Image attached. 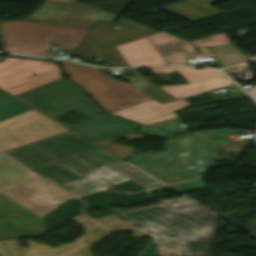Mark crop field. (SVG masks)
I'll list each match as a JSON object with an SVG mask.
<instances>
[{"mask_svg": "<svg viewBox=\"0 0 256 256\" xmlns=\"http://www.w3.org/2000/svg\"><path fill=\"white\" fill-rule=\"evenodd\" d=\"M141 131L148 134L168 137L185 131L177 118L142 126ZM178 134V133H177Z\"/></svg>", "mask_w": 256, "mask_h": 256, "instance_id": "bc2a9ffb", "label": "crop field"}, {"mask_svg": "<svg viewBox=\"0 0 256 256\" xmlns=\"http://www.w3.org/2000/svg\"><path fill=\"white\" fill-rule=\"evenodd\" d=\"M47 1L73 2L74 0H47Z\"/></svg>", "mask_w": 256, "mask_h": 256, "instance_id": "4177f3b9", "label": "crop field"}, {"mask_svg": "<svg viewBox=\"0 0 256 256\" xmlns=\"http://www.w3.org/2000/svg\"><path fill=\"white\" fill-rule=\"evenodd\" d=\"M28 109L31 108L0 90V120Z\"/></svg>", "mask_w": 256, "mask_h": 256, "instance_id": "214f88e0", "label": "crop field"}, {"mask_svg": "<svg viewBox=\"0 0 256 256\" xmlns=\"http://www.w3.org/2000/svg\"><path fill=\"white\" fill-rule=\"evenodd\" d=\"M148 38L168 65L185 64L184 58L195 55L196 49L202 50L205 55H214L224 67L248 61L233 44H229L224 33L191 43L163 33Z\"/></svg>", "mask_w": 256, "mask_h": 256, "instance_id": "e52e79f7", "label": "crop field"}, {"mask_svg": "<svg viewBox=\"0 0 256 256\" xmlns=\"http://www.w3.org/2000/svg\"><path fill=\"white\" fill-rule=\"evenodd\" d=\"M116 26V23L98 21L82 40L97 44H117L157 32L127 19L122 21L120 29Z\"/></svg>", "mask_w": 256, "mask_h": 256, "instance_id": "22f410ed", "label": "crop field"}, {"mask_svg": "<svg viewBox=\"0 0 256 256\" xmlns=\"http://www.w3.org/2000/svg\"><path fill=\"white\" fill-rule=\"evenodd\" d=\"M147 77L143 75L135 74L129 77H125L127 81L131 82L130 84L135 86L136 88L142 90L147 95L153 97L160 103L168 102L174 100L175 98L152 84L150 81L146 80Z\"/></svg>", "mask_w": 256, "mask_h": 256, "instance_id": "4a817a6b", "label": "crop field"}, {"mask_svg": "<svg viewBox=\"0 0 256 256\" xmlns=\"http://www.w3.org/2000/svg\"><path fill=\"white\" fill-rule=\"evenodd\" d=\"M220 1L223 0H188L163 9L190 21H196L223 13L224 11L209 6Z\"/></svg>", "mask_w": 256, "mask_h": 256, "instance_id": "d9b57169", "label": "crop field"}, {"mask_svg": "<svg viewBox=\"0 0 256 256\" xmlns=\"http://www.w3.org/2000/svg\"><path fill=\"white\" fill-rule=\"evenodd\" d=\"M59 77L52 62L5 57L0 63V86L15 95Z\"/></svg>", "mask_w": 256, "mask_h": 256, "instance_id": "5a996713", "label": "crop field"}, {"mask_svg": "<svg viewBox=\"0 0 256 256\" xmlns=\"http://www.w3.org/2000/svg\"><path fill=\"white\" fill-rule=\"evenodd\" d=\"M256 86V85H255ZM254 87V86H253ZM252 88V87H251ZM248 92L256 99V87L248 90Z\"/></svg>", "mask_w": 256, "mask_h": 256, "instance_id": "a9b5d70f", "label": "crop field"}, {"mask_svg": "<svg viewBox=\"0 0 256 256\" xmlns=\"http://www.w3.org/2000/svg\"><path fill=\"white\" fill-rule=\"evenodd\" d=\"M118 230V229H117ZM122 230H126V231H131V230H129V229H122ZM120 231V230H119ZM133 232V231H132ZM134 234L133 235H131L132 237H134V238H136V239H138V240H140L141 238H143L144 236H142V235H140V234H138V233H136V232H133Z\"/></svg>", "mask_w": 256, "mask_h": 256, "instance_id": "00972430", "label": "crop field"}, {"mask_svg": "<svg viewBox=\"0 0 256 256\" xmlns=\"http://www.w3.org/2000/svg\"><path fill=\"white\" fill-rule=\"evenodd\" d=\"M117 49L129 66L167 65L147 37L119 45Z\"/></svg>", "mask_w": 256, "mask_h": 256, "instance_id": "5142ce71", "label": "crop field"}, {"mask_svg": "<svg viewBox=\"0 0 256 256\" xmlns=\"http://www.w3.org/2000/svg\"><path fill=\"white\" fill-rule=\"evenodd\" d=\"M76 56L91 60L94 57L102 58L110 66H128L115 46H99L79 42L73 49Z\"/></svg>", "mask_w": 256, "mask_h": 256, "instance_id": "733c2abd", "label": "crop field"}, {"mask_svg": "<svg viewBox=\"0 0 256 256\" xmlns=\"http://www.w3.org/2000/svg\"><path fill=\"white\" fill-rule=\"evenodd\" d=\"M150 71L155 75L179 72L186 79L187 85L160 86L177 99L233 84L221 72L209 68L159 67L151 68Z\"/></svg>", "mask_w": 256, "mask_h": 256, "instance_id": "28ad6ade", "label": "crop field"}, {"mask_svg": "<svg viewBox=\"0 0 256 256\" xmlns=\"http://www.w3.org/2000/svg\"><path fill=\"white\" fill-rule=\"evenodd\" d=\"M60 61V60H58ZM69 79L79 83L109 113L151 99L127 83H119L101 75L95 68L74 62L60 61Z\"/></svg>", "mask_w": 256, "mask_h": 256, "instance_id": "dd49c442", "label": "crop field"}, {"mask_svg": "<svg viewBox=\"0 0 256 256\" xmlns=\"http://www.w3.org/2000/svg\"><path fill=\"white\" fill-rule=\"evenodd\" d=\"M16 97L53 119L74 111L82 119L68 128L123 159L131 156L135 148L110 142L122 136L128 140L145 137L130 133L136 125L100 112L75 85L63 79Z\"/></svg>", "mask_w": 256, "mask_h": 256, "instance_id": "34b2d1b8", "label": "crop field"}, {"mask_svg": "<svg viewBox=\"0 0 256 256\" xmlns=\"http://www.w3.org/2000/svg\"><path fill=\"white\" fill-rule=\"evenodd\" d=\"M87 30L26 20L0 22L3 51L41 57L48 56L51 40L63 41L60 50H71Z\"/></svg>", "mask_w": 256, "mask_h": 256, "instance_id": "f4fd0767", "label": "crop field"}, {"mask_svg": "<svg viewBox=\"0 0 256 256\" xmlns=\"http://www.w3.org/2000/svg\"><path fill=\"white\" fill-rule=\"evenodd\" d=\"M69 131L34 109L0 121L3 150Z\"/></svg>", "mask_w": 256, "mask_h": 256, "instance_id": "d8731c3e", "label": "crop field"}, {"mask_svg": "<svg viewBox=\"0 0 256 256\" xmlns=\"http://www.w3.org/2000/svg\"><path fill=\"white\" fill-rule=\"evenodd\" d=\"M190 105L187 101L180 99L161 105L154 99L111 113L130 120L137 121L142 125L165 119L178 117L172 111Z\"/></svg>", "mask_w": 256, "mask_h": 256, "instance_id": "cbeb9de0", "label": "crop field"}, {"mask_svg": "<svg viewBox=\"0 0 256 256\" xmlns=\"http://www.w3.org/2000/svg\"><path fill=\"white\" fill-rule=\"evenodd\" d=\"M226 88L228 90H231V89H237L238 87H236L235 85H231V86H227Z\"/></svg>", "mask_w": 256, "mask_h": 256, "instance_id": "730fd06b", "label": "crop field"}, {"mask_svg": "<svg viewBox=\"0 0 256 256\" xmlns=\"http://www.w3.org/2000/svg\"><path fill=\"white\" fill-rule=\"evenodd\" d=\"M117 15L78 3L43 2L23 19L92 27L97 20L114 21Z\"/></svg>", "mask_w": 256, "mask_h": 256, "instance_id": "3316defc", "label": "crop field"}, {"mask_svg": "<svg viewBox=\"0 0 256 256\" xmlns=\"http://www.w3.org/2000/svg\"><path fill=\"white\" fill-rule=\"evenodd\" d=\"M202 183H201V179L199 178V179L183 182L177 185H172L171 187L179 192H183V191H189V190H194L199 188H205L206 186Z\"/></svg>", "mask_w": 256, "mask_h": 256, "instance_id": "92a150f3", "label": "crop field"}, {"mask_svg": "<svg viewBox=\"0 0 256 256\" xmlns=\"http://www.w3.org/2000/svg\"><path fill=\"white\" fill-rule=\"evenodd\" d=\"M116 232H118V231L110 228L108 230H105V231L95 235L94 237L90 238L89 240L85 241L84 243L93 244L94 242L99 241V240H101V239H103V238H105L107 236H110V235L116 233ZM83 254L86 255V256H90L91 252L90 251H86Z\"/></svg>", "mask_w": 256, "mask_h": 256, "instance_id": "dafd665d", "label": "crop field"}, {"mask_svg": "<svg viewBox=\"0 0 256 256\" xmlns=\"http://www.w3.org/2000/svg\"><path fill=\"white\" fill-rule=\"evenodd\" d=\"M2 192L18 204L42 216L72 198L39 178Z\"/></svg>", "mask_w": 256, "mask_h": 256, "instance_id": "d1516ede", "label": "crop field"}, {"mask_svg": "<svg viewBox=\"0 0 256 256\" xmlns=\"http://www.w3.org/2000/svg\"><path fill=\"white\" fill-rule=\"evenodd\" d=\"M229 128L205 130L166 141L167 152L130 157L127 162L169 184L200 176L199 168L215 165L209 139L226 138Z\"/></svg>", "mask_w": 256, "mask_h": 256, "instance_id": "412701ff", "label": "crop field"}, {"mask_svg": "<svg viewBox=\"0 0 256 256\" xmlns=\"http://www.w3.org/2000/svg\"><path fill=\"white\" fill-rule=\"evenodd\" d=\"M113 215L157 236L164 256H213L217 215L190 199Z\"/></svg>", "mask_w": 256, "mask_h": 256, "instance_id": "ac0d7876", "label": "crop field"}, {"mask_svg": "<svg viewBox=\"0 0 256 256\" xmlns=\"http://www.w3.org/2000/svg\"><path fill=\"white\" fill-rule=\"evenodd\" d=\"M98 147L70 132L7 152L76 195L128 179L145 189L163 185Z\"/></svg>", "mask_w": 256, "mask_h": 256, "instance_id": "8a807250", "label": "crop field"}]
</instances>
